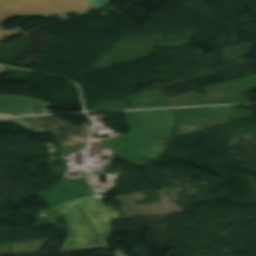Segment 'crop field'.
I'll list each match as a JSON object with an SVG mask.
<instances>
[{
    "mask_svg": "<svg viewBox=\"0 0 256 256\" xmlns=\"http://www.w3.org/2000/svg\"><path fill=\"white\" fill-rule=\"evenodd\" d=\"M39 196L51 207L71 200V197L60 182L56 183L51 190L45 191Z\"/></svg>",
    "mask_w": 256,
    "mask_h": 256,
    "instance_id": "crop-field-9",
    "label": "crop field"
},
{
    "mask_svg": "<svg viewBox=\"0 0 256 256\" xmlns=\"http://www.w3.org/2000/svg\"><path fill=\"white\" fill-rule=\"evenodd\" d=\"M7 68L4 66H0V74L7 73Z\"/></svg>",
    "mask_w": 256,
    "mask_h": 256,
    "instance_id": "crop-field-13",
    "label": "crop field"
},
{
    "mask_svg": "<svg viewBox=\"0 0 256 256\" xmlns=\"http://www.w3.org/2000/svg\"><path fill=\"white\" fill-rule=\"evenodd\" d=\"M4 122H14L15 125L21 126V127L25 128L27 130H30L34 133L46 134V133L50 132L46 129H43V128L36 126L26 120L19 119V118L0 119V123H4Z\"/></svg>",
    "mask_w": 256,
    "mask_h": 256,
    "instance_id": "crop-field-10",
    "label": "crop field"
},
{
    "mask_svg": "<svg viewBox=\"0 0 256 256\" xmlns=\"http://www.w3.org/2000/svg\"><path fill=\"white\" fill-rule=\"evenodd\" d=\"M107 0H89V2L92 4V6L96 9L98 8L100 5H102L104 2H106Z\"/></svg>",
    "mask_w": 256,
    "mask_h": 256,
    "instance_id": "crop-field-11",
    "label": "crop field"
},
{
    "mask_svg": "<svg viewBox=\"0 0 256 256\" xmlns=\"http://www.w3.org/2000/svg\"><path fill=\"white\" fill-rule=\"evenodd\" d=\"M72 199L93 196L94 190L86 179L61 180Z\"/></svg>",
    "mask_w": 256,
    "mask_h": 256,
    "instance_id": "crop-field-7",
    "label": "crop field"
},
{
    "mask_svg": "<svg viewBox=\"0 0 256 256\" xmlns=\"http://www.w3.org/2000/svg\"><path fill=\"white\" fill-rule=\"evenodd\" d=\"M124 113L129 121L131 131L123 137L101 141L111 150L170 137L175 127V115L167 110Z\"/></svg>",
    "mask_w": 256,
    "mask_h": 256,
    "instance_id": "crop-field-2",
    "label": "crop field"
},
{
    "mask_svg": "<svg viewBox=\"0 0 256 256\" xmlns=\"http://www.w3.org/2000/svg\"><path fill=\"white\" fill-rule=\"evenodd\" d=\"M116 256H122L121 251H115Z\"/></svg>",
    "mask_w": 256,
    "mask_h": 256,
    "instance_id": "crop-field-14",
    "label": "crop field"
},
{
    "mask_svg": "<svg viewBox=\"0 0 256 256\" xmlns=\"http://www.w3.org/2000/svg\"><path fill=\"white\" fill-rule=\"evenodd\" d=\"M68 224V237L60 252L107 247L110 219L101 198L82 199L57 207Z\"/></svg>",
    "mask_w": 256,
    "mask_h": 256,
    "instance_id": "crop-field-1",
    "label": "crop field"
},
{
    "mask_svg": "<svg viewBox=\"0 0 256 256\" xmlns=\"http://www.w3.org/2000/svg\"><path fill=\"white\" fill-rule=\"evenodd\" d=\"M48 212H50L54 218H58V215L54 212L53 208L47 209Z\"/></svg>",
    "mask_w": 256,
    "mask_h": 256,
    "instance_id": "crop-field-12",
    "label": "crop field"
},
{
    "mask_svg": "<svg viewBox=\"0 0 256 256\" xmlns=\"http://www.w3.org/2000/svg\"><path fill=\"white\" fill-rule=\"evenodd\" d=\"M135 108L164 107L165 99L149 91L127 98Z\"/></svg>",
    "mask_w": 256,
    "mask_h": 256,
    "instance_id": "crop-field-8",
    "label": "crop field"
},
{
    "mask_svg": "<svg viewBox=\"0 0 256 256\" xmlns=\"http://www.w3.org/2000/svg\"><path fill=\"white\" fill-rule=\"evenodd\" d=\"M34 109V99L18 96H0V112L14 113Z\"/></svg>",
    "mask_w": 256,
    "mask_h": 256,
    "instance_id": "crop-field-6",
    "label": "crop field"
},
{
    "mask_svg": "<svg viewBox=\"0 0 256 256\" xmlns=\"http://www.w3.org/2000/svg\"><path fill=\"white\" fill-rule=\"evenodd\" d=\"M93 7L88 0H0V38L22 32L20 28L4 31L1 24L11 17H47L65 13L87 14Z\"/></svg>",
    "mask_w": 256,
    "mask_h": 256,
    "instance_id": "crop-field-3",
    "label": "crop field"
},
{
    "mask_svg": "<svg viewBox=\"0 0 256 256\" xmlns=\"http://www.w3.org/2000/svg\"><path fill=\"white\" fill-rule=\"evenodd\" d=\"M161 140L152 143L138 145L122 150L113 151L119 157L129 160L133 163L154 159L165 151Z\"/></svg>",
    "mask_w": 256,
    "mask_h": 256,
    "instance_id": "crop-field-5",
    "label": "crop field"
},
{
    "mask_svg": "<svg viewBox=\"0 0 256 256\" xmlns=\"http://www.w3.org/2000/svg\"><path fill=\"white\" fill-rule=\"evenodd\" d=\"M22 118L51 130L59 142L61 148L87 142V138L85 137L81 128L51 116Z\"/></svg>",
    "mask_w": 256,
    "mask_h": 256,
    "instance_id": "crop-field-4",
    "label": "crop field"
}]
</instances>
